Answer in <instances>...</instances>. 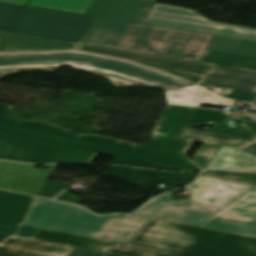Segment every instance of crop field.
Instances as JSON below:
<instances>
[{"instance_id":"crop-field-1","label":"crop field","mask_w":256,"mask_h":256,"mask_svg":"<svg viewBox=\"0 0 256 256\" xmlns=\"http://www.w3.org/2000/svg\"><path fill=\"white\" fill-rule=\"evenodd\" d=\"M157 0H94L99 16L84 44L199 61L205 50L256 58V42L141 25Z\"/></svg>"},{"instance_id":"crop-field-2","label":"crop field","mask_w":256,"mask_h":256,"mask_svg":"<svg viewBox=\"0 0 256 256\" xmlns=\"http://www.w3.org/2000/svg\"><path fill=\"white\" fill-rule=\"evenodd\" d=\"M192 108L168 104L153 130L152 141L145 145L62 131L42 121L16 120L11 118L12 107L3 103H0V133L178 171L198 170L201 168L185 156L194 141L178 138Z\"/></svg>"},{"instance_id":"crop-field-3","label":"crop field","mask_w":256,"mask_h":256,"mask_svg":"<svg viewBox=\"0 0 256 256\" xmlns=\"http://www.w3.org/2000/svg\"><path fill=\"white\" fill-rule=\"evenodd\" d=\"M109 253L122 256H256V239L151 219L127 244Z\"/></svg>"},{"instance_id":"crop-field-4","label":"crop field","mask_w":256,"mask_h":256,"mask_svg":"<svg viewBox=\"0 0 256 256\" xmlns=\"http://www.w3.org/2000/svg\"><path fill=\"white\" fill-rule=\"evenodd\" d=\"M65 64L105 77L116 86L147 85L165 89L190 86L173 76L136 64L75 52L0 54V77L13 71L53 70Z\"/></svg>"},{"instance_id":"crop-field-5","label":"crop field","mask_w":256,"mask_h":256,"mask_svg":"<svg viewBox=\"0 0 256 256\" xmlns=\"http://www.w3.org/2000/svg\"><path fill=\"white\" fill-rule=\"evenodd\" d=\"M147 220L125 214L98 216L77 205L36 198L24 224L125 243Z\"/></svg>"},{"instance_id":"crop-field-6","label":"crop field","mask_w":256,"mask_h":256,"mask_svg":"<svg viewBox=\"0 0 256 256\" xmlns=\"http://www.w3.org/2000/svg\"><path fill=\"white\" fill-rule=\"evenodd\" d=\"M95 19L0 3V31L81 43Z\"/></svg>"},{"instance_id":"crop-field-7","label":"crop field","mask_w":256,"mask_h":256,"mask_svg":"<svg viewBox=\"0 0 256 256\" xmlns=\"http://www.w3.org/2000/svg\"><path fill=\"white\" fill-rule=\"evenodd\" d=\"M142 24L256 41V28L214 22L192 10L161 3H155Z\"/></svg>"},{"instance_id":"crop-field-8","label":"crop field","mask_w":256,"mask_h":256,"mask_svg":"<svg viewBox=\"0 0 256 256\" xmlns=\"http://www.w3.org/2000/svg\"><path fill=\"white\" fill-rule=\"evenodd\" d=\"M95 156V153L0 134V159L33 163H91Z\"/></svg>"},{"instance_id":"crop-field-9","label":"crop field","mask_w":256,"mask_h":256,"mask_svg":"<svg viewBox=\"0 0 256 256\" xmlns=\"http://www.w3.org/2000/svg\"><path fill=\"white\" fill-rule=\"evenodd\" d=\"M173 193L163 194L132 213L154 219L166 220L197 226L223 208L202 203L196 200L173 201Z\"/></svg>"},{"instance_id":"crop-field-10","label":"crop field","mask_w":256,"mask_h":256,"mask_svg":"<svg viewBox=\"0 0 256 256\" xmlns=\"http://www.w3.org/2000/svg\"><path fill=\"white\" fill-rule=\"evenodd\" d=\"M181 138L205 142L193 158L196 164L205 169L222 144L245 150L256 144V134L241 126L236 128L227 123L216 125L215 128L203 132L198 130H182Z\"/></svg>"},{"instance_id":"crop-field-11","label":"crop field","mask_w":256,"mask_h":256,"mask_svg":"<svg viewBox=\"0 0 256 256\" xmlns=\"http://www.w3.org/2000/svg\"><path fill=\"white\" fill-rule=\"evenodd\" d=\"M199 227L256 238V187Z\"/></svg>"},{"instance_id":"crop-field-12","label":"crop field","mask_w":256,"mask_h":256,"mask_svg":"<svg viewBox=\"0 0 256 256\" xmlns=\"http://www.w3.org/2000/svg\"><path fill=\"white\" fill-rule=\"evenodd\" d=\"M80 51L126 59L131 62L157 68L165 72L190 78L201 83L211 65L179 61L170 58L141 55L112 49L80 45Z\"/></svg>"},{"instance_id":"crop-field-13","label":"crop field","mask_w":256,"mask_h":256,"mask_svg":"<svg viewBox=\"0 0 256 256\" xmlns=\"http://www.w3.org/2000/svg\"><path fill=\"white\" fill-rule=\"evenodd\" d=\"M56 167L50 165L48 171H42L34 165L0 161V189L38 196Z\"/></svg>"},{"instance_id":"crop-field-14","label":"crop field","mask_w":256,"mask_h":256,"mask_svg":"<svg viewBox=\"0 0 256 256\" xmlns=\"http://www.w3.org/2000/svg\"><path fill=\"white\" fill-rule=\"evenodd\" d=\"M32 196L0 191V233L31 239L38 228L20 225Z\"/></svg>"},{"instance_id":"crop-field-15","label":"crop field","mask_w":256,"mask_h":256,"mask_svg":"<svg viewBox=\"0 0 256 256\" xmlns=\"http://www.w3.org/2000/svg\"><path fill=\"white\" fill-rule=\"evenodd\" d=\"M189 188L192 189L189 198L225 207L253 186L200 176Z\"/></svg>"},{"instance_id":"crop-field-16","label":"crop field","mask_w":256,"mask_h":256,"mask_svg":"<svg viewBox=\"0 0 256 256\" xmlns=\"http://www.w3.org/2000/svg\"><path fill=\"white\" fill-rule=\"evenodd\" d=\"M71 247L0 234V256H67Z\"/></svg>"},{"instance_id":"crop-field-17","label":"crop field","mask_w":256,"mask_h":256,"mask_svg":"<svg viewBox=\"0 0 256 256\" xmlns=\"http://www.w3.org/2000/svg\"><path fill=\"white\" fill-rule=\"evenodd\" d=\"M78 44L0 32V52L75 50Z\"/></svg>"},{"instance_id":"crop-field-18","label":"crop field","mask_w":256,"mask_h":256,"mask_svg":"<svg viewBox=\"0 0 256 256\" xmlns=\"http://www.w3.org/2000/svg\"><path fill=\"white\" fill-rule=\"evenodd\" d=\"M202 84L256 93V72L212 65Z\"/></svg>"},{"instance_id":"crop-field-19","label":"crop field","mask_w":256,"mask_h":256,"mask_svg":"<svg viewBox=\"0 0 256 256\" xmlns=\"http://www.w3.org/2000/svg\"><path fill=\"white\" fill-rule=\"evenodd\" d=\"M32 239L102 252H108L115 244L114 242L75 236L46 229H39Z\"/></svg>"},{"instance_id":"crop-field-20","label":"crop field","mask_w":256,"mask_h":256,"mask_svg":"<svg viewBox=\"0 0 256 256\" xmlns=\"http://www.w3.org/2000/svg\"><path fill=\"white\" fill-rule=\"evenodd\" d=\"M168 102L200 107L201 103L232 106L233 102L216 96L198 86L166 90Z\"/></svg>"},{"instance_id":"crop-field-21","label":"crop field","mask_w":256,"mask_h":256,"mask_svg":"<svg viewBox=\"0 0 256 256\" xmlns=\"http://www.w3.org/2000/svg\"><path fill=\"white\" fill-rule=\"evenodd\" d=\"M206 169H256V157L236 148L221 146Z\"/></svg>"},{"instance_id":"crop-field-22","label":"crop field","mask_w":256,"mask_h":256,"mask_svg":"<svg viewBox=\"0 0 256 256\" xmlns=\"http://www.w3.org/2000/svg\"><path fill=\"white\" fill-rule=\"evenodd\" d=\"M199 62L256 71V59L205 51Z\"/></svg>"},{"instance_id":"crop-field-23","label":"crop field","mask_w":256,"mask_h":256,"mask_svg":"<svg viewBox=\"0 0 256 256\" xmlns=\"http://www.w3.org/2000/svg\"><path fill=\"white\" fill-rule=\"evenodd\" d=\"M93 0H29V6L85 14Z\"/></svg>"},{"instance_id":"crop-field-24","label":"crop field","mask_w":256,"mask_h":256,"mask_svg":"<svg viewBox=\"0 0 256 256\" xmlns=\"http://www.w3.org/2000/svg\"><path fill=\"white\" fill-rule=\"evenodd\" d=\"M229 112L194 108L184 129L227 121Z\"/></svg>"},{"instance_id":"crop-field-25","label":"crop field","mask_w":256,"mask_h":256,"mask_svg":"<svg viewBox=\"0 0 256 256\" xmlns=\"http://www.w3.org/2000/svg\"><path fill=\"white\" fill-rule=\"evenodd\" d=\"M202 175L256 186V171H205Z\"/></svg>"},{"instance_id":"crop-field-26","label":"crop field","mask_w":256,"mask_h":256,"mask_svg":"<svg viewBox=\"0 0 256 256\" xmlns=\"http://www.w3.org/2000/svg\"><path fill=\"white\" fill-rule=\"evenodd\" d=\"M223 97L238 99L249 103L256 98V94L230 90L225 95H223Z\"/></svg>"},{"instance_id":"crop-field-27","label":"crop field","mask_w":256,"mask_h":256,"mask_svg":"<svg viewBox=\"0 0 256 256\" xmlns=\"http://www.w3.org/2000/svg\"><path fill=\"white\" fill-rule=\"evenodd\" d=\"M105 253L73 248L68 256H103Z\"/></svg>"},{"instance_id":"crop-field-28","label":"crop field","mask_w":256,"mask_h":256,"mask_svg":"<svg viewBox=\"0 0 256 256\" xmlns=\"http://www.w3.org/2000/svg\"><path fill=\"white\" fill-rule=\"evenodd\" d=\"M241 125L249 128L250 130H252V131H254L256 133V123L241 122Z\"/></svg>"},{"instance_id":"crop-field-29","label":"crop field","mask_w":256,"mask_h":256,"mask_svg":"<svg viewBox=\"0 0 256 256\" xmlns=\"http://www.w3.org/2000/svg\"><path fill=\"white\" fill-rule=\"evenodd\" d=\"M0 1L25 5L27 0H0Z\"/></svg>"},{"instance_id":"crop-field-30","label":"crop field","mask_w":256,"mask_h":256,"mask_svg":"<svg viewBox=\"0 0 256 256\" xmlns=\"http://www.w3.org/2000/svg\"><path fill=\"white\" fill-rule=\"evenodd\" d=\"M228 91V89H224V88H221V89H219L217 92H215V93H217V94H219V95H223L224 93H226Z\"/></svg>"},{"instance_id":"crop-field-31","label":"crop field","mask_w":256,"mask_h":256,"mask_svg":"<svg viewBox=\"0 0 256 256\" xmlns=\"http://www.w3.org/2000/svg\"><path fill=\"white\" fill-rule=\"evenodd\" d=\"M246 152L251 153V154H253V155H256V146H255L254 148H252V149L246 151Z\"/></svg>"},{"instance_id":"crop-field-32","label":"crop field","mask_w":256,"mask_h":256,"mask_svg":"<svg viewBox=\"0 0 256 256\" xmlns=\"http://www.w3.org/2000/svg\"><path fill=\"white\" fill-rule=\"evenodd\" d=\"M251 105H253L254 107H256V101H255V102H253Z\"/></svg>"},{"instance_id":"crop-field-33","label":"crop field","mask_w":256,"mask_h":256,"mask_svg":"<svg viewBox=\"0 0 256 256\" xmlns=\"http://www.w3.org/2000/svg\"><path fill=\"white\" fill-rule=\"evenodd\" d=\"M106 256H116V255H110V254H107Z\"/></svg>"}]
</instances>
